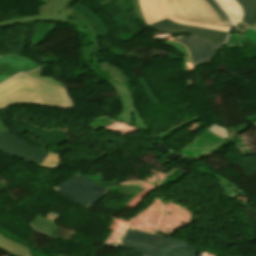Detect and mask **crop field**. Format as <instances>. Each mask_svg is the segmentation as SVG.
Wrapping results in <instances>:
<instances>
[{"instance_id":"crop-field-1","label":"crop field","mask_w":256,"mask_h":256,"mask_svg":"<svg viewBox=\"0 0 256 256\" xmlns=\"http://www.w3.org/2000/svg\"><path fill=\"white\" fill-rule=\"evenodd\" d=\"M45 4L38 5L37 10L42 20H56L61 23H66L79 30V33L83 37L86 34L87 44L90 46L83 47L84 59L89 68L92 69L100 77L106 79L117 78L124 84L127 77L123 71L115 65L104 60L101 46L95 45L93 34L90 32L91 26H93L89 20L83 16H80L69 6L77 3L79 0H41Z\"/></svg>"},{"instance_id":"crop-field-2","label":"crop field","mask_w":256,"mask_h":256,"mask_svg":"<svg viewBox=\"0 0 256 256\" xmlns=\"http://www.w3.org/2000/svg\"><path fill=\"white\" fill-rule=\"evenodd\" d=\"M14 104L74 108L67 89L51 85L23 73L0 84V110Z\"/></svg>"},{"instance_id":"crop-field-3","label":"crop field","mask_w":256,"mask_h":256,"mask_svg":"<svg viewBox=\"0 0 256 256\" xmlns=\"http://www.w3.org/2000/svg\"><path fill=\"white\" fill-rule=\"evenodd\" d=\"M122 246L139 250L147 256H196L198 249L182 241L130 228Z\"/></svg>"},{"instance_id":"crop-field-4","label":"crop field","mask_w":256,"mask_h":256,"mask_svg":"<svg viewBox=\"0 0 256 256\" xmlns=\"http://www.w3.org/2000/svg\"><path fill=\"white\" fill-rule=\"evenodd\" d=\"M53 188L67 198L89 208L112 189L77 173Z\"/></svg>"},{"instance_id":"crop-field-5","label":"crop field","mask_w":256,"mask_h":256,"mask_svg":"<svg viewBox=\"0 0 256 256\" xmlns=\"http://www.w3.org/2000/svg\"><path fill=\"white\" fill-rule=\"evenodd\" d=\"M0 151L12 156L27 159L39 166L48 154V152L18 138L9 129L0 133Z\"/></svg>"},{"instance_id":"crop-field-6","label":"crop field","mask_w":256,"mask_h":256,"mask_svg":"<svg viewBox=\"0 0 256 256\" xmlns=\"http://www.w3.org/2000/svg\"><path fill=\"white\" fill-rule=\"evenodd\" d=\"M139 3L142 15L148 25L168 18L174 22L183 23L190 26H199L224 32H228L229 29V27L202 25L179 20L173 15L167 0H139Z\"/></svg>"},{"instance_id":"crop-field-7","label":"crop field","mask_w":256,"mask_h":256,"mask_svg":"<svg viewBox=\"0 0 256 256\" xmlns=\"http://www.w3.org/2000/svg\"><path fill=\"white\" fill-rule=\"evenodd\" d=\"M173 41H178L187 47L190 52L193 67L212 61L220 48L219 45L194 35L185 36Z\"/></svg>"},{"instance_id":"crop-field-8","label":"crop field","mask_w":256,"mask_h":256,"mask_svg":"<svg viewBox=\"0 0 256 256\" xmlns=\"http://www.w3.org/2000/svg\"><path fill=\"white\" fill-rule=\"evenodd\" d=\"M108 82L117 91L120 97V102H121L122 111H120V113L117 116H113V117H121L117 121L124 122L125 124H128V125L136 124V126H138L141 129L148 128L140 118L135 108L134 99L129 89L126 88L125 85L117 79L110 80Z\"/></svg>"},{"instance_id":"crop-field-9","label":"crop field","mask_w":256,"mask_h":256,"mask_svg":"<svg viewBox=\"0 0 256 256\" xmlns=\"http://www.w3.org/2000/svg\"><path fill=\"white\" fill-rule=\"evenodd\" d=\"M150 27L166 33H180V32L191 33L196 36L202 37L206 40L217 43L219 45L225 42V38L228 34L224 32H218V31L199 28V27H189L186 25L174 23L168 19L158 22L156 24H153Z\"/></svg>"},{"instance_id":"crop-field-10","label":"crop field","mask_w":256,"mask_h":256,"mask_svg":"<svg viewBox=\"0 0 256 256\" xmlns=\"http://www.w3.org/2000/svg\"><path fill=\"white\" fill-rule=\"evenodd\" d=\"M39 64L22 56L9 54L0 57V82L24 71L39 68Z\"/></svg>"},{"instance_id":"crop-field-11","label":"crop field","mask_w":256,"mask_h":256,"mask_svg":"<svg viewBox=\"0 0 256 256\" xmlns=\"http://www.w3.org/2000/svg\"><path fill=\"white\" fill-rule=\"evenodd\" d=\"M174 15L213 20L196 0H168Z\"/></svg>"},{"instance_id":"crop-field-12","label":"crop field","mask_w":256,"mask_h":256,"mask_svg":"<svg viewBox=\"0 0 256 256\" xmlns=\"http://www.w3.org/2000/svg\"><path fill=\"white\" fill-rule=\"evenodd\" d=\"M31 246L40 250L38 247L24 241L23 239H21L19 242H15L5 238L0 234V249L14 256H34ZM48 254H51V253H48ZM51 255L56 256L54 254H51Z\"/></svg>"},{"instance_id":"crop-field-13","label":"crop field","mask_w":256,"mask_h":256,"mask_svg":"<svg viewBox=\"0 0 256 256\" xmlns=\"http://www.w3.org/2000/svg\"><path fill=\"white\" fill-rule=\"evenodd\" d=\"M251 123L239 125L237 127H221L218 124H212L208 129L213 133L223 137L226 140H232L234 136L245 130Z\"/></svg>"},{"instance_id":"crop-field-14","label":"crop field","mask_w":256,"mask_h":256,"mask_svg":"<svg viewBox=\"0 0 256 256\" xmlns=\"http://www.w3.org/2000/svg\"><path fill=\"white\" fill-rule=\"evenodd\" d=\"M245 12L243 21L251 28L256 24V0H236Z\"/></svg>"},{"instance_id":"crop-field-15","label":"crop field","mask_w":256,"mask_h":256,"mask_svg":"<svg viewBox=\"0 0 256 256\" xmlns=\"http://www.w3.org/2000/svg\"><path fill=\"white\" fill-rule=\"evenodd\" d=\"M197 1L202 5V7L211 15V17L215 21L197 20V19L178 17V16H176V17L179 19L198 22V23H202V24L228 26V22H222L221 19L219 18V16L214 12V10L204 0H197Z\"/></svg>"},{"instance_id":"crop-field-16","label":"crop field","mask_w":256,"mask_h":256,"mask_svg":"<svg viewBox=\"0 0 256 256\" xmlns=\"http://www.w3.org/2000/svg\"><path fill=\"white\" fill-rule=\"evenodd\" d=\"M222 8L226 11L237 17L238 19L242 20L244 12L241 6L235 0H216Z\"/></svg>"},{"instance_id":"crop-field-17","label":"crop field","mask_w":256,"mask_h":256,"mask_svg":"<svg viewBox=\"0 0 256 256\" xmlns=\"http://www.w3.org/2000/svg\"><path fill=\"white\" fill-rule=\"evenodd\" d=\"M29 224L37 230L48 234H50L51 231L57 226L56 224L46 220L39 214Z\"/></svg>"},{"instance_id":"crop-field-18","label":"crop field","mask_w":256,"mask_h":256,"mask_svg":"<svg viewBox=\"0 0 256 256\" xmlns=\"http://www.w3.org/2000/svg\"><path fill=\"white\" fill-rule=\"evenodd\" d=\"M38 21H41L39 15L23 16L19 18L2 21L0 22V27L18 25V24H23L27 22H38Z\"/></svg>"},{"instance_id":"crop-field-19","label":"crop field","mask_w":256,"mask_h":256,"mask_svg":"<svg viewBox=\"0 0 256 256\" xmlns=\"http://www.w3.org/2000/svg\"><path fill=\"white\" fill-rule=\"evenodd\" d=\"M43 67L39 68L38 70L36 71H33V72H28L26 74H29L35 78H38V79H41V80H44V81H47L51 84H54V85H58V86H62L64 87L63 85H61L58 81L54 80L53 77H42L41 76V71H42Z\"/></svg>"},{"instance_id":"crop-field-20","label":"crop field","mask_w":256,"mask_h":256,"mask_svg":"<svg viewBox=\"0 0 256 256\" xmlns=\"http://www.w3.org/2000/svg\"><path fill=\"white\" fill-rule=\"evenodd\" d=\"M59 156L49 153L45 161L41 164L42 167H50L57 163Z\"/></svg>"},{"instance_id":"crop-field-21","label":"crop field","mask_w":256,"mask_h":256,"mask_svg":"<svg viewBox=\"0 0 256 256\" xmlns=\"http://www.w3.org/2000/svg\"><path fill=\"white\" fill-rule=\"evenodd\" d=\"M205 1L215 10V12L222 19V21H228L227 17L223 14L220 8L213 2V0H205Z\"/></svg>"},{"instance_id":"crop-field-22","label":"crop field","mask_w":256,"mask_h":256,"mask_svg":"<svg viewBox=\"0 0 256 256\" xmlns=\"http://www.w3.org/2000/svg\"><path fill=\"white\" fill-rule=\"evenodd\" d=\"M132 1L134 3V7H135L138 18L141 19L142 21H144L142 16H141L138 0H132Z\"/></svg>"},{"instance_id":"crop-field-23","label":"crop field","mask_w":256,"mask_h":256,"mask_svg":"<svg viewBox=\"0 0 256 256\" xmlns=\"http://www.w3.org/2000/svg\"><path fill=\"white\" fill-rule=\"evenodd\" d=\"M237 29H238V31L242 34V33H244L245 31H247L248 29H250V28H248L246 25H244L243 23H239V24H237L236 26H235Z\"/></svg>"},{"instance_id":"crop-field-24","label":"crop field","mask_w":256,"mask_h":256,"mask_svg":"<svg viewBox=\"0 0 256 256\" xmlns=\"http://www.w3.org/2000/svg\"><path fill=\"white\" fill-rule=\"evenodd\" d=\"M228 16H229V18H230V21H231V23L235 26L238 22H240V21H238L236 18H234L233 16H231V15H229L228 13H226Z\"/></svg>"},{"instance_id":"crop-field-25","label":"crop field","mask_w":256,"mask_h":256,"mask_svg":"<svg viewBox=\"0 0 256 256\" xmlns=\"http://www.w3.org/2000/svg\"><path fill=\"white\" fill-rule=\"evenodd\" d=\"M6 128L7 127L0 121V132Z\"/></svg>"},{"instance_id":"crop-field-26","label":"crop field","mask_w":256,"mask_h":256,"mask_svg":"<svg viewBox=\"0 0 256 256\" xmlns=\"http://www.w3.org/2000/svg\"><path fill=\"white\" fill-rule=\"evenodd\" d=\"M253 29H255V30H256V25H255V27H254Z\"/></svg>"},{"instance_id":"crop-field-27","label":"crop field","mask_w":256,"mask_h":256,"mask_svg":"<svg viewBox=\"0 0 256 256\" xmlns=\"http://www.w3.org/2000/svg\"><path fill=\"white\" fill-rule=\"evenodd\" d=\"M256 124V123H255Z\"/></svg>"}]
</instances>
